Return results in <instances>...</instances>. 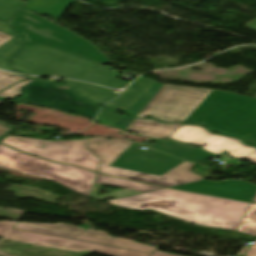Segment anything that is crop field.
Returning <instances> with one entry per match:
<instances>
[{
  "instance_id": "obj_1",
  "label": "crop field",
  "mask_w": 256,
  "mask_h": 256,
  "mask_svg": "<svg viewBox=\"0 0 256 256\" xmlns=\"http://www.w3.org/2000/svg\"><path fill=\"white\" fill-rule=\"evenodd\" d=\"M135 210L155 209L193 224L237 230L250 203L170 189L108 201Z\"/></svg>"
},
{
  "instance_id": "obj_2",
  "label": "crop field",
  "mask_w": 256,
  "mask_h": 256,
  "mask_svg": "<svg viewBox=\"0 0 256 256\" xmlns=\"http://www.w3.org/2000/svg\"><path fill=\"white\" fill-rule=\"evenodd\" d=\"M11 61L14 69L22 74L66 77L116 89L129 83L116 79L110 68L44 45L23 47Z\"/></svg>"
},
{
  "instance_id": "obj_3",
  "label": "crop field",
  "mask_w": 256,
  "mask_h": 256,
  "mask_svg": "<svg viewBox=\"0 0 256 256\" xmlns=\"http://www.w3.org/2000/svg\"><path fill=\"white\" fill-rule=\"evenodd\" d=\"M186 121L256 142V99L213 90Z\"/></svg>"
},
{
  "instance_id": "obj_4",
  "label": "crop field",
  "mask_w": 256,
  "mask_h": 256,
  "mask_svg": "<svg viewBox=\"0 0 256 256\" xmlns=\"http://www.w3.org/2000/svg\"><path fill=\"white\" fill-rule=\"evenodd\" d=\"M9 23L27 46L44 44L102 64L109 61L88 40L31 12L21 9Z\"/></svg>"
},
{
  "instance_id": "obj_5",
  "label": "crop field",
  "mask_w": 256,
  "mask_h": 256,
  "mask_svg": "<svg viewBox=\"0 0 256 256\" xmlns=\"http://www.w3.org/2000/svg\"><path fill=\"white\" fill-rule=\"evenodd\" d=\"M0 168L51 180L86 197L90 196L96 172L44 161L17 152L0 143Z\"/></svg>"
},
{
  "instance_id": "obj_6",
  "label": "crop field",
  "mask_w": 256,
  "mask_h": 256,
  "mask_svg": "<svg viewBox=\"0 0 256 256\" xmlns=\"http://www.w3.org/2000/svg\"><path fill=\"white\" fill-rule=\"evenodd\" d=\"M94 141H98L100 143L94 144ZM131 144L132 142L124 139L108 140L102 137H94L88 139L86 148L101 159L98 172L102 174L161 185L165 187L195 182L202 179V177L196 176L188 171L189 167L193 165L192 163L188 162H185L171 169L161 177L109 166Z\"/></svg>"
},
{
  "instance_id": "obj_7",
  "label": "crop field",
  "mask_w": 256,
  "mask_h": 256,
  "mask_svg": "<svg viewBox=\"0 0 256 256\" xmlns=\"http://www.w3.org/2000/svg\"><path fill=\"white\" fill-rule=\"evenodd\" d=\"M20 139H23L21 141ZM87 139L48 142L10 136L1 142L20 151L56 162L74 164L92 171L98 170L100 159L85 148ZM45 144V147L41 146Z\"/></svg>"
},
{
  "instance_id": "obj_8",
  "label": "crop field",
  "mask_w": 256,
  "mask_h": 256,
  "mask_svg": "<svg viewBox=\"0 0 256 256\" xmlns=\"http://www.w3.org/2000/svg\"><path fill=\"white\" fill-rule=\"evenodd\" d=\"M212 90L164 85L137 116L165 122L185 121Z\"/></svg>"
},
{
  "instance_id": "obj_9",
  "label": "crop field",
  "mask_w": 256,
  "mask_h": 256,
  "mask_svg": "<svg viewBox=\"0 0 256 256\" xmlns=\"http://www.w3.org/2000/svg\"><path fill=\"white\" fill-rule=\"evenodd\" d=\"M24 91L22 102L53 107L63 112L94 118L100 108L89 102L85 103V100L75 95L69 87H57L35 81Z\"/></svg>"
},
{
  "instance_id": "obj_10",
  "label": "crop field",
  "mask_w": 256,
  "mask_h": 256,
  "mask_svg": "<svg viewBox=\"0 0 256 256\" xmlns=\"http://www.w3.org/2000/svg\"><path fill=\"white\" fill-rule=\"evenodd\" d=\"M170 138L201 145L203 149L216 154H220L224 150L229 151L232 156L240 159L256 149V147L243 144L239 139L212 135L205 128L195 125H180Z\"/></svg>"
},
{
  "instance_id": "obj_11",
  "label": "crop field",
  "mask_w": 256,
  "mask_h": 256,
  "mask_svg": "<svg viewBox=\"0 0 256 256\" xmlns=\"http://www.w3.org/2000/svg\"><path fill=\"white\" fill-rule=\"evenodd\" d=\"M140 147L141 145L133 143L111 165L161 176L171 168L184 162L153 149L143 150L139 149Z\"/></svg>"
},
{
  "instance_id": "obj_12",
  "label": "crop field",
  "mask_w": 256,
  "mask_h": 256,
  "mask_svg": "<svg viewBox=\"0 0 256 256\" xmlns=\"http://www.w3.org/2000/svg\"><path fill=\"white\" fill-rule=\"evenodd\" d=\"M7 239L19 240L24 242H30L35 244L47 245L52 247H58L63 249L75 250V251H90L101 253L110 256H120L125 250L124 248L106 246L101 244L89 243L84 241L52 237L16 230H10L5 237Z\"/></svg>"
},
{
  "instance_id": "obj_13",
  "label": "crop field",
  "mask_w": 256,
  "mask_h": 256,
  "mask_svg": "<svg viewBox=\"0 0 256 256\" xmlns=\"http://www.w3.org/2000/svg\"><path fill=\"white\" fill-rule=\"evenodd\" d=\"M204 194L216 195L232 199L252 202L256 195V185L242 180L224 182L199 181L181 186L171 187Z\"/></svg>"
},
{
  "instance_id": "obj_14",
  "label": "crop field",
  "mask_w": 256,
  "mask_h": 256,
  "mask_svg": "<svg viewBox=\"0 0 256 256\" xmlns=\"http://www.w3.org/2000/svg\"><path fill=\"white\" fill-rule=\"evenodd\" d=\"M100 184L119 187V188H122L123 190L113 191L106 195L97 196V191L99 189ZM159 189H164V188L145 184V183L106 176L98 173L96 176L95 184L90 197L98 200L109 198V197L122 198V197L130 196V195H134L142 192H148V191L159 190Z\"/></svg>"
},
{
  "instance_id": "obj_15",
  "label": "crop field",
  "mask_w": 256,
  "mask_h": 256,
  "mask_svg": "<svg viewBox=\"0 0 256 256\" xmlns=\"http://www.w3.org/2000/svg\"><path fill=\"white\" fill-rule=\"evenodd\" d=\"M15 228L34 231V232H40L45 234L69 237V238H73L79 234L98 236V237H103L108 239L114 238V237H110L106 232L102 230H99V231L85 230L73 225H66L64 223L38 224V223L21 222V223H18Z\"/></svg>"
},
{
  "instance_id": "obj_16",
  "label": "crop field",
  "mask_w": 256,
  "mask_h": 256,
  "mask_svg": "<svg viewBox=\"0 0 256 256\" xmlns=\"http://www.w3.org/2000/svg\"><path fill=\"white\" fill-rule=\"evenodd\" d=\"M151 140L156 142L154 146L147 144L148 141L145 142L143 145L167 152L169 154L175 155L191 162H200L209 157H217V155L211 154L200 148L180 145L171 141H161L155 139Z\"/></svg>"
},
{
  "instance_id": "obj_17",
  "label": "crop field",
  "mask_w": 256,
  "mask_h": 256,
  "mask_svg": "<svg viewBox=\"0 0 256 256\" xmlns=\"http://www.w3.org/2000/svg\"><path fill=\"white\" fill-rule=\"evenodd\" d=\"M180 124H161L155 120L134 119L127 129L149 138L167 139Z\"/></svg>"
},
{
  "instance_id": "obj_18",
  "label": "crop field",
  "mask_w": 256,
  "mask_h": 256,
  "mask_svg": "<svg viewBox=\"0 0 256 256\" xmlns=\"http://www.w3.org/2000/svg\"><path fill=\"white\" fill-rule=\"evenodd\" d=\"M63 83L72 86L73 90L80 96L99 105H103L109 100L118 96V94L112 92L113 90H109L95 85L70 80H66Z\"/></svg>"
},
{
  "instance_id": "obj_19",
  "label": "crop field",
  "mask_w": 256,
  "mask_h": 256,
  "mask_svg": "<svg viewBox=\"0 0 256 256\" xmlns=\"http://www.w3.org/2000/svg\"><path fill=\"white\" fill-rule=\"evenodd\" d=\"M155 82L138 79L131 86H129L123 95L113 100L107 107L119 108L127 110L140 96H142Z\"/></svg>"
},
{
  "instance_id": "obj_20",
  "label": "crop field",
  "mask_w": 256,
  "mask_h": 256,
  "mask_svg": "<svg viewBox=\"0 0 256 256\" xmlns=\"http://www.w3.org/2000/svg\"><path fill=\"white\" fill-rule=\"evenodd\" d=\"M162 84L155 83L142 97H140L127 111L129 116H137L153 96L160 90Z\"/></svg>"
},
{
  "instance_id": "obj_21",
  "label": "crop field",
  "mask_w": 256,
  "mask_h": 256,
  "mask_svg": "<svg viewBox=\"0 0 256 256\" xmlns=\"http://www.w3.org/2000/svg\"><path fill=\"white\" fill-rule=\"evenodd\" d=\"M238 231L256 236V204L251 203Z\"/></svg>"
},
{
  "instance_id": "obj_22",
  "label": "crop field",
  "mask_w": 256,
  "mask_h": 256,
  "mask_svg": "<svg viewBox=\"0 0 256 256\" xmlns=\"http://www.w3.org/2000/svg\"><path fill=\"white\" fill-rule=\"evenodd\" d=\"M74 239L102 243V244L113 245V246L124 247V248H127L133 242L132 240L123 239V238H116L113 240H108V239L91 237V236H83V235H79V236L75 237Z\"/></svg>"
},
{
  "instance_id": "obj_23",
  "label": "crop field",
  "mask_w": 256,
  "mask_h": 256,
  "mask_svg": "<svg viewBox=\"0 0 256 256\" xmlns=\"http://www.w3.org/2000/svg\"><path fill=\"white\" fill-rule=\"evenodd\" d=\"M128 248L146 252L149 253V255L126 249L121 256H150L156 251V247L144 245L135 241Z\"/></svg>"
},
{
  "instance_id": "obj_24",
  "label": "crop field",
  "mask_w": 256,
  "mask_h": 256,
  "mask_svg": "<svg viewBox=\"0 0 256 256\" xmlns=\"http://www.w3.org/2000/svg\"><path fill=\"white\" fill-rule=\"evenodd\" d=\"M21 79H26V77H22V76L10 74V73L4 72V71H0V91L5 89L10 84H12L18 80H21Z\"/></svg>"
},
{
  "instance_id": "obj_25",
  "label": "crop field",
  "mask_w": 256,
  "mask_h": 256,
  "mask_svg": "<svg viewBox=\"0 0 256 256\" xmlns=\"http://www.w3.org/2000/svg\"><path fill=\"white\" fill-rule=\"evenodd\" d=\"M31 81H32V80L20 82V83L14 85V86L8 88L7 90L1 92V93H0V96H1V97H5V98H9V99H13V98H15V97L21 95V92H20L21 88H22L25 84H27V83H29V82H31Z\"/></svg>"
},
{
  "instance_id": "obj_26",
  "label": "crop field",
  "mask_w": 256,
  "mask_h": 256,
  "mask_svg": "<svg viewBox=\"0 0 256 256\" xmlns=\"http://www.w3.org/2000/svg\"><path fill=\"white\" fill-rule=\"evenodd\" d=\"M133 119L134 118H131L125 115H123L122 117L120 116L118 120L114 123L113 127L125 130L127 126L132 122Z\"/></svg>"
},
{
  "instance_id": "obj_27",
  "label": "crop field",
  "mask_w": 256,
  "mask_h": 256,
  "mask_svg": "<svg viewBox=\"0 0 256 256\" xmlns=\"http://www.w3.org/2000/svg\"><path fill=\"white\" fill-rule=\"evenodd\" d=\"M14 222L2 221L0 222V235L5 236L8 230L14 225Z\"/></svg>"
},
{
  "instance_id": "obj_28",
  "label": "crop field",
  "mask_w": 256,
  "mask_h": 256,
  "mask_svg": "<svg viewBox=\"0 0 256 256\" xmlns=\"http://www.w3.org/2000/svg\"><path fill=\"white\" fill-rule=\"evenodd\" d=\"M13 130H15V128L8 127V126L0 123V138L6 136L7 134H9L8 133L9 131H13ZM2 131H4V132L2 133Z\"/></svg>"
},
{
  "instance_id": "obj_29",
  "label": "crop field",
  "mask_w": 256,
  "mask_h": 256,
  "mask_svg": "<svg viewBox=\"0 0 256 256\" xmlns=\"http://www.w3.org/2000/svg\"><path fill=\"white\" fill-rule=\"evenodd\" d=\"M11 38H13L11 35L0 32V46Z\"/></svg>"
},
{
  "instance_id": "obj_30",
  "label": "crop field",
  "mask_w": 256,
  "mask_h": 256,
  "mask_svg": "<svg viewBox=\"0 0 256 256\" xmlns=\"http://www.w3.org/2000/svg\"><path fill=\"white\" fill-rule=\"evenodd\" d=\"M0 31L13 34L12 30L8 27V25L2 21H0Z\"/></svg>"
},
{
  "instance_id": "obj_31",
  "label": "crop field",
  "mask_w": 256,
  "mask_h": 256,
  "mask_svg": "<svg viewBox=\"0 0 256 256\" xmlns=\"http://www.w3.org/2000/svg\"><path fill=\"white\" fill-rule=\"evenodd\" d=\"M246 256H256V241L255 244L249 248L248 252L246 253Z\"/></svg>"
},
{
  "instance_id": "obj_32",
  "label": "crop field",
  "mask_w": 256,
  "mask_h": 256,
  "mask_svg": "<svg viewBox=\"0 0 256 256\" xmlns=\"http://www.w3.org/2000/svg\"><path fill=\"white\" fill-rule=\"evenodd\" d=\"M244 159H247V160H249V161H251V162L256 163V150H255L253 153L249 154V155H248L247 157H245Z\"/></svg>"
},
{
  "instance_id": "obj_33",
  "label": "crop field",
  "mask_w": 256,
  "mask_h": 256,
  "mask_svg": "<svg viewBox=\"0 0 256 256\" xmlns=\"http://www.w3.org/2000/svg\"><path fill=\"white\" fill-rule=\"evenodd\" d=\"M152 256H176L165 252L156 251Z\"/></svg>"
},
{
  "instance_id": "obj_34",
  "label": "crop field",
  "mask_w": 256,
  "mask_h": 256,
  "mask_svg": "<svg viewBox=\"0 0 256 256\" xmlns=\"http://www.w3.org/2000/svg\"><path fill=\"white\" fill-rule=\"evenodd\" d=\"M247 249L246 246H243V248L240 250V252L238 253V256H240L242 253H244V251Z\"/></svg>"
},
{
  "instance_id": "obj_35",
  "label": "crop field",
  "mask_w": 256,
  "mask_h": 256,
  "mask_svg": "<svg viewBox=\"0 0 256 256\" xmlns=\"http://www.w3.org/2000/svg\"><path fill=\"white\" fill-rule=\"evenodd\" d=\"M0 256H8V255H6V254H3V253H1V252H0Z\"/></svg>"
},
{
  "instance_id": "obj_36",
  "label": "crop field",
  "mask_w": 256,
  "mask_h": 256,
  "mask_svg": "<svg viewBox=\"0 0 256 256\" xmlns=\"http://www.w3.org/2000/svg\"><path fill=\"white\" fill-rule=\"evenodd\" d=\"M1 101H5V100H8V99H5V98H0Z\"/></svg>"
},
{
  "instance_id": "obj_37",
  "label": "crop field",
  "mask_w": 256,
  "mask_h": 256,
  "mask_svg": "<svg viewBox=\"0 0 256 256\" xmlns=\"http://www.w3.org/2000/svg\"><path fill=\"white\" fill-rule=\"evenodd\" d=\"M253 202H256V197H255V199L253 200Z\"/></svg>"
},
{
  "instance_id": "obj_38",
  "label": "crop field",
  "mask_w": 256,
  "mask_h": 256,
  "mask_svg": "<svg viewBox=\"0 0 256 256\" xmlns=\"http://www.w3.org/2000/svg\"><path fill=\"white\" fill-rule=\"evenodd\" d=\"M0 103H3V102L0 101ZM0 105H1V104H0Z\"/></svg>"
}]
</instances>
